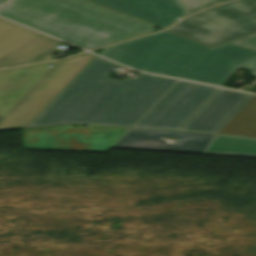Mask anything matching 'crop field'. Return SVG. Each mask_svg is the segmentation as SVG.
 Returning a JSON list of instances; mask_svg holds the SVG:
<instances>
[{
    "label": "crop field",
    "mask_w": 256,
    "mask_h": 256,
    "mask_svg": "<svg viewBox=\"0 0 256 256\" xmlns=\"http://www.w3.org/2000/svg\"><path fill=\"white\" fill-rule=\"evenodd\" d=\"M115 64L95 60L28 126L62 123L133 127L177 82L145 74L109 78Z\"/></svg>",
    "instance_id": "obj_1"
},
{
    "label": "crop field",
    "mask_w": 256,
    "mask_h": 256,
    "mask_svg": "<svg viewBox=\"0 0 256 256\" xmlns=\"http://www.w3.org/2000/svg\"><path fill=\"white\" fill-rule=\"evenodd\" d=\"M0 16L85 49L155 28L85 0H13L0 9Z\"/></svg>",
    "instance_id": "obj_2"
},
{
    "label": "crop field",
    "mask_w": 256,
    "mask_h": 256,
    "mask_svg": "<svg viewBox=\"0 0 256 256\" xmlns=\"http://www.w3.org/2000/svg\"><path fill=\"white\" fill-rule=\"evenodd\" d=\"M93 57L85 53L28 69L0 70V130L25 127Z\"/></svg>",
    "instance_id": "obj_3"
},
{
    "label": "crop field",
    "mask_w": 256,
    "mask_h": 256,
    "mask_svg": "<svg viewBox=\"0 0 256 256\" xmlns=\"http://www.w3.org/2000/svg\"><path fill=\"white\" fill-rule=\"evenodd\" d=\"M207 50L160 32L106 47L101 55L141 71L181 78Z\"/></svg>",
    "instance_id": "obj_4"
},
{
    "label": "crop field",
    "mask_w": 256,
    "mask_h": 256,
    "mask_svg": "<svg viewBox=\"0 0 256 256\" xmlns=\"http://www.w3.org/2000/svg\"><path fill=\"white\" fill-rule=\"evenodd\" d=\"M168 31L210 47L256 31V0L217 5L189 17Z\"/></svg>",
    "instance_id": "obj_5"
},
{
    "label": "crop field",
    "mask_w": 256,
    "mask_h": 256,
    "mask_svg": "<svg viewBox=\"0 0 256 256\" xmlns=\"http://www.w3.org/2000/svg\"><path fill=\"white\" fill-rule=\"evenodd\" d=\"M127 129L71 126L25 130L26 149L107 152Z\"/></svg>",
    "instance_id": "obj_6"
},
{
    "label": "crop field",
    "mask_w": 256,
    "mask_h": 256,
    "mask_svg": "<svg viewBox=\"0 0 256 256\" xmlns=\"http://www.w3.org/2000/svg\"><path fill=\"white\" fill-rule=\"evenodd\" d=\"M217 90L178 81L134 127L179 130Z\"/></svg>",
    "instance_id": "obj_7"
},
{
    "label": "crop field",
    "mask_w": 256,
    "mask_h": 256,
    "mask_svg": "<svg viewBox=\"0 0 256 256\" xmlns=\"http://www.w3.org/2000/svg\"><path fill=\"white\" fill-rule=\"evenodd\" d=\"M59 42L0 19V68L41 61Z\"/></svg>",
    "instance_id": "obj_8"
},
{
    "label": "crop field",
    "mask_w": 256,
    "mask_h": 256,
    "mask_svg": "<svg viewBox=\"0 0 256 256\" xmlns=\"http://www.w3.org/2000/svg\"><path fill=\"white\" fill-rule=\"evenodd\" d=\"M239 67L256 75V51L227 44L208 52L184 79L222 86Z\"/></svg>",
    "instance_id": "obj_9"
},
{
    "label": "crop field",
    "mask_w": 256,
    "mask_h": 256,
    "mask_svg": "<svg viewBox=\"0 0 256 256\" xmlns=\"http://www.w3.org/2000/svg\"><path fill=\"white\" fill-rule=\"evenodd\" d=\"M130 130V129H129ZM215 135L162 130L131 129L114 147L203 153ZM174 137V144L161 138Z\"/></svg>",
    "instance_id": "obj_10"
},
{
    "label": "crop field",
    "mask_w": 256,
    "mask_h": 256,
    "mask_svg": "<svg viewBox=\"0 0 256 256\" xmlns=\"http://www.w3.org/2000/svg\"><path fill=\"white\" fill-rule=\"evenodd\" d=\"M252 96L221 89L182 130L217 133Z\"/></svg>",
    "instance_id": "obj_11"
},
{
    "label": "crop field",
    "mask_w": 256,
    "mask_h": 256,
    "mask_svg": "<svg viewBox=\"0 0 256 256\" xmlns=\"http://www.w3.org/2000/svg\"><path fill=\"white\" fill-rule=\"evenodd\" d=\"M148 23L166 28L186 16L180 0H90Z\"/></svg>",
    "instance_id": "obj_12"
},
{
    "label": "crop field",
    "mask_w": 256,
    "mask_h": 256,
    "mask_svg": "<svg viewBox=\"0 0 256 256\" xmlns=\"http://www.w3.org/2000/svg\"><path fill=\"white\" fill-rule=\"evenodd\" d=\"M204 153L256 157V139L216 135Z\"/></svg>",
    "instance_id": "obj_13"
},
{
    "label": "crop field",
    "mask_w": 256,
    "mask_h": 256,
    "mask_svg": "<svg viewBox=\"0 0 256 256\" xmlns=\"http://www.w3.org/2000/svg\"><path fill=\"white\" fill-rule=\"evenodd\" d=\"M218 133L256 137V95Z\"/></svg>",
    "instance_id": "obj_14"
},
{
    "label": "crop field",
    "mask_w": 256,
    "mask_h": 256,
    "mask_svg": "<svg viewBox=\"0 0 256 256\" xmlns=\"http://www.w3.org/2000/svg\"><path fill=\"white\" fill-rule=\"evenodd\" d=\"M181 2L188 15L216 4L215 0H181Z\"/></svg>",
    "instance_id": "obj_15"
},
{
    "label": "crop field",
    "mask_w": 256,
    "mask_h": 256,
    "mask_svg": "<svg viewBox=\"0 0 256 256\" xmlns=\"http://www.w3.org/2000/svg\"><path fill=\"white\" fill-rule=\"evenodd\" d=\"M230 44L256 50V33L245 38L239 39L237 41L230 42Z\"/></svg>",
    "instance_id": "obj_16"
},
{
    "label": "crop field",
    "mask_w": 256,
    "mask_h": 256,
    "mask_svg": "<svg viewBox=\"0 0 256 256\" xmlns=\"http://www.w3.org/2000/svg\"><path fill=\"white\" fill-rule=\"evenodd\" d=\"M5 1H7V0H0V5H1L2 3H4Z\"/></svg>",
    "instance_id": "obj_17"
},
{
    "label": "crop field",
    "mask_w": 256,
    "mask_h": 256,
    "mask_svg": "<svg viewBox=\"0 0 256 256\" xmlns=\"http://www.w3.org/2000/svg\"><path fill=\"white\" fill-rule=\"evenodd\" d=\"M216 1L219 3V2H223V1H227V0H216Z\"/></svg>",
    "instance_id": "obj_18"
}]
</instances>
